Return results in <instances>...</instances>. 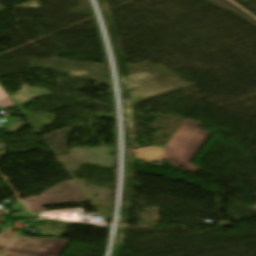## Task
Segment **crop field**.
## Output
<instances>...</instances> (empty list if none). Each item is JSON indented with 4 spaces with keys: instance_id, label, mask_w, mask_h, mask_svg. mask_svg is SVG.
Here are the masks:
<instances>
[{
    "instance_id": "8a807250",
    "label": "crop field",
    "mask_w": 256,
    "mask_h": 256,
    "mask_svg": "<svg viewBox=\"0 0 256 256\" xmlns=\"http://www.w3.org/2000/svg\"><path fill=\"white\" fill-rule=\"evenodd\" d=\"M200 125L201 123L186 119L164 149L149 146L134 150L135 154L148 162L166 159L194 174L201 168L189 162L210 135L198 128Z\"/></svg>"
},
{
    "instance_id": "ac0d7876",
    "label": "crop field",
    "mask_w": 256,
    "mask_h": 256,
    "mask_svg": "<svg viewBox=\"0 0 256 256\" xmlns=\"http://www.w3.org/2000/svg\"><path fill=\"white\" fill-rule=\"evenodd\" d=\"M68 241L18 237L3 256H59Z\"/></svg>"
},
{
    "instance_id": "34b2d1b8",
    "label": "crop field",
    "mask_w": 256,
    "mask_h": 256,
    "mask_svg": "<svg viewBox=\"0 0 256 256\" xmlns=\"http://www.w3.org/2000/svg\"><path fill=\"white\" fill-rule=\"evenodd\" d=\"M13 111H8L4 116L3 118H6L8 119L6 122H4L5 124L2 125V128L3 130H5L6 128H9L8 131H13V132H16L25 122L23 121V119L18 116L16 118H14L15 116L18 115L17 112H14L13 114ZM12 114V115H11ZM11 115V116H10ZM17 121H22L21 123L17 122Z\"/></svg>"
},
{
    "instance_id": "412701ff",
    "label": "crop field",
    "mask_w": 256,
    "mask_h": 256,
    "mask_svg": "<svg viewBox=\"0 0 256 256\" xmlns=\"http://www.w3.org/2000/svg\"><path fill=\"white\" fill-rule=\"evenodd\" d=\"M12 227H8L6 231H3L0 235V251L2 252L10 242L15 238V236L9 235Z\"/></svg>"
}]
</instances>
